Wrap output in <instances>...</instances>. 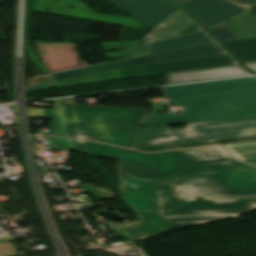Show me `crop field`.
<instances>
[{"label":"crop field","mask_w":256,"mask_h":256,"mask_svg":"<svg viewBox=\"0 0 256 256\" xmlns=\"http://www.w3.org/2000/svg\"><path fill=\"white\" fill-rule=\"evenodd\" d=\"M71 150L159 168L161 189H120L131 210L163 214L116 230L130 239L237 218L256 209V168L234 160L220 146L143 154L76 139Z\"/></svg>","instance_id":"1"},{"label":"crop field","mask_w":256,"mask_h":256,"mask_svg":"<svg viewBox=\"0 0 256 256\" xmlns=\"http://www.w3.org/2000/svg\"><path fill=\"white\" fill-rule=\"evenodd\" d=\"M28 112L29 117L52 119L49 134L84 138L126 148L130 147L149 113L141 109L65 104H53V110L28 108Z\"/></svg>","instance_id":"2"},{"label":"crop field","mask_w":256,"mask_h":256,"mask_svg":"<svg viewBox=\"0 0 256 256\" xmlns=\"http://www.w3.org/2000/svg\"><path fill=\"white\" fill-rule=\"evenodd\" d=\"M185 106L182 116L150 114L143 127L226 119L256 114V90L170 101Z\"/></svg>","instance_id":"3"},{"label":"crop field","mask_w":256,"mask_h":256,"mask_svg":"<svg viewBox=\"0 0 256 256\" xmlns=\"http://www.w3.org/2000/svg\"><path fill=\"white\" fill-rule=\"evenodd\" d=\"M249 135H256V115L191 123L186 124L184 129H170L169 126L142 129L133 145L193 142Z\"/></svg>","instance_id":"4"},{"label":"crop field","mask_w":256,"mask_h":256,"mask_svg":"<svg viewBox=\"0 0 256 256\" xmlns=\"http://www.w3.org/2000/svg\"><path fill=\"white\" fill-rule=\"evenodd\" d=\"M237 64L239 63L230 54H226V55H219V56L150 64V65L126 68V69L116 70V71L101 72V73H96V74H91V75H86V76L61 80V81L41 83L39 85H40V88L43 89V88H49V87H56V86H62V85L105 80V79H112V78H120V77H127V76H135V75H143V74H151V73H157V74L174 73V72H182V71L232 66Z\"/></svg>","instance_id":"5"},{"label":"crop field","mask_w":256,"mask_h":256,"mask_svg":"<svg viewBox=\"0 0 256 256\" xmlns=\"http://www.w3.org/2000/svg\"><path fill=\"white\" fill-rule=\"evenodd\" d=\"M226 53L228 52L222 49L218 43L206 44L201 46L178 49V50L169 51V52L160 53V54H154V55H148V56L122 60V61L106 63L105 65H102V66L57 74L53 76H44L41 78L29 80V84L66 79V78H71V77H76V76H81V75H86V74H91V73H96L101 71L149 64V63L173 61V60H179V59L219 55V54H226Z\"/></svg>","instance_id":"6"},{"label":"crop field","mask_w":256,"mask_h":256,"mask_svg":"<svg viewBox=\"0 0 256 256\" xmlns=\"http://www.w3.org/2000/svg\"><path fill=\"white\" fill-rule=\"evenodd\" d=\"M107 1L150 30L178 9V7L160 0Z\"/></svg>","instance_id":"7"},{"label":"crop field","mask_w":256,"mask_h":256,"mask_svg":"<svg viewBox=\"0 0 256 256\" xmlns=\"http://www.w3.org/2000/svg\"><path fill=\"white\" fill-rule=\"evenodd\" d=\"M204 28L232 18L245 9L223 0H190L182 6Z\"/></svg>","instance_id":"8"},{"label":"crop field","mask_w":256,"mask_h":256,"mask_svg":"<svg viewBox=\"0 0 256 256\" xmlns=\"http://www.w3.org/2000/svg\"><path fill=\"white\" fill-rule=\"evenodd\" d=\"M256 88V77L164 88L169 99Z\"/></svg>","instance_id":"9"},{"label":"crop field","mask_w":256,"mask_h":256,"mask_svg":"<svg viewBox=\"0 0 256 256\" xmlns=\"http://www.w3.org/2000/svg\"><path fill=\"white\" fill-rule=\"evenodd\" d=\"M120 188L150 190L160 188L158 169L119 161Z\"/></svg>","instance_id":"10"},{"label":"crop field","mask_w":256,"mask_h":256,"mask_svg":"<svg viewBox=\"0 0 256 256\" xmlns=\"http://www.w3.org/2000/svg\"><path fill=\"white\" fill-rule=\"evenodd\" d=\"M202 30L187 14L181 9L174 12L167 19L150 31L143 37V41H153L167 37L192 33Z\"/></svg>","instance_id":"11"},{"label":"crop field","mask_w":256,"mask_h":256,"mask_svg":"<svg viewBox=\"0 0 256 256\" xmlns=\"http://www.w3.org/2000/svg\"><path fill=\"white\" fill-rule=\"evenodd\" d=\"M208 32L218 42L256 37V16L247 13Z\"/></svg>","instance_id":"12"},{"label":"crop field","mask_w":256,"mask_h":256,"mask_svg":"<svg viewBox=\"0 0 256 256\" xmlns=\"http://www.w3.org/2000/svg\"><path fill=\"white\" fill-rule=\"evenodd\" d=\"M247 72L249 71H247L241 66H232V67H224V68H216V69H208V70L166 74L165 78H166V84H174V83L192 82V81H200V80L244 76V75H247Z\"/></svg>","instance_id":"13"},{"label":"crop field","mask_w":256,"mask_h":256,"mask_svg":"<svg viewBox=\"0 0 256 256\" xmlns=\"http://www.w3.org/2000/svg\"><path fill=\"white\" fill-rule=\"evenodd\" d=\"M215 42L205 31L193 34L182 36L178 38L158 41L154 43L146 44L148 53H157L160 51H167L182 47L193 46L196 44H205V43H213Z\"/></svg>","instance_id":"14"},{"label":"crop field","mask_w":256,"mask_h":256,"mask_svg":"<svg viewBox=\"0 0 256 256\" xmlns=\"http://www.w3.org/2000/svg\"><path fill=\"white\" fill-rule=\"evenodd\" d=\"M242 63L256 62V38L220 43Z\"/></svg>","instance_id":"15"},{"label":"crop field","mask_w":256,"mask_h":256,"mask_svg":"<svg viewBox=\"0 0 256 256\" xmlns=\"http://www.w3.org/2000/svg\"><path fill=\"white\" fill-rule=\"evenodd\" d=\"M251 141H256V136L207 140V141H199V142L175 144V145L143 147V148H136L135 150L144 151V152H155V151L172 150V149H179V148L205 146V145H211V144H234V143L251 142Z\"/></svg>","instance_id":"16"},{"label":"crop field","mask_w":256,"mask_h":256,"mask_svg":"<svg viewBox=\"0 0 256 256\" xmlns=\"http://www.w3.org/2000/svg\"><path fill=\"white\" fill-rule=\"evenodd\" d=\"M224 148L236 159L256 166V142L226 145Z\"/></svg>","instance_id":"17"},{"label":"crop field","mask_w":256,"mask_h":256,"mask_svg":"<svg viewBox=\"0 0 256 256\" xmlns=\"http://www.w3.org/2000/svg\"><path fill=\"white\" fill-rule=\"evenodd\" d=\"M40 136L46 137L47 140L51 143L52 148H55V149L70 150L73 145L72 142L66 141L65 138L45 136V135H40Z\"/></svg>","instance_id":"18"},{"label":"crop field","mask_w":256,"mask_h":256,"mask_svg":"<svg viewBox=\"0 0 256 256\" xmlns=\"http://www.w3.org/2000/svg\"><path fill=\"white\" fill-rule=\"evenodd\" d=\"M225 1L236 4L245 9L250 8L252 5H254L256 3V0H225Z\"/></svg>","instance_id":"19"},{"label":"crop field","mask_w":256,"mask_h":256,"mask_svg":"<svg viewBox=\"0 0 256 256\" xmlns=\"http://www.w3.org/2000/svg\"><path fill=\"white\" fill-rule=\"evenodd\" d=\"M136 216L141 219V218H145V217H148V216H152V215H156V214H151V213H143V212H135L133 211Z\"/></svg>","instance_id":"20"},{"label":"crop field","mask_w":256,"mask_h":256,"mask_svg":"<svg viewBox=\"0 0 256 256\" xmlns=\"http://www.w3.org/2000/svg\"><path fill=\"white\" fill-rule=\"evenodd\" d=\"M245 67L256 73V64L245 65Z\"/></svg>","instance_id":"21"},{"label":"crop field","mask_w":256,"mask_h":256,"mask_svg":"<svg viewBox=\"0 0 256 256\" xmlns=\"http://www.w3.org/2000/svg\"><path fill=\"white\" fill-rule=\"evenodd\" d=\"M168 1H170V2H173V3H175V4H177V5H181V4H183L186 0H168Z\"/></svg>","instance_id":"22"},{"label":"crop field","mask_w":256,"mask_h":256,"mask_svg":"<svg viewBox=\"0 0 256 256\" xmlns=\"http://www.w3.org/2000/svg\"><path fill=\"white\" fill-rule=\"evenodd\" d=\"M40 89L38 84L29 85V90Z\"/></svg>","instance_id":"23"},{"label":"crop field","mask_w":256,"mask_h":256,"mask_svg":"<svg viewBox=\"0 0 256 256\" xmlns=\"http://www.w3.org/2000/svg\"><path fill=\"white\" fill-rule=\"evenodd\" d=\"M249 12L256 15V5L249 9Z\"/></svg>","instance_id":"24"},{"label":"crop field","mask_w":256,"mask_h":256,"mask_svg":"<svg viewBox=\"0 0 256 256\" xmlns=\"http://www.w3.org/2000/svg\"><path fill=\"white\" fill-rule=\"evenodd\" d=\"M0 241H10V238L7 236L0 237Z\"/></svg>","instance_id":"25"}]
</instances>
